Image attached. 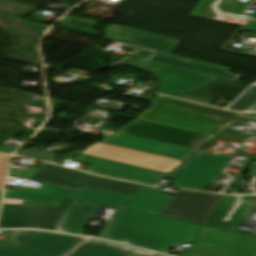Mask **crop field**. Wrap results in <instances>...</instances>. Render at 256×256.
Wrapping results in <instances>:
<instances>
[{
	"instance_id": "crop-field-1",
	"label": "crop field",
	"mask_w": 256,
	"mask_h": 256,
	"mask_svg": "<svg viewBox=\"0 0 256 256\" xmlns=\"http://www.w3.org/2000/svg\"><path fill=\"white\" fill-rule=\"evenodd\" d=\"M200 225L117 208L102 238L164 252L195 243Z\"/></svg>"
},
{
	"instance_id": "crop-field-21",
	"label": "crop field",
	"mask_w": 256,
	"mask_h": 256,
	"mask_svg": "<svg viewBox=\"0 0 256 256\" xmlns=\"http://www.w3.org/2000/svg\"><path fill=\"white\" fill-rule=\"evenodd\" d=\"M147 254L148 252L89 239L69 256H146Z\"/></svg>"
},
{
	"instance_id": "crop-field-22",
	"label": "crop field",
	"mask_w": 256,
	"mask_h": 256,
	"mask_svg": "<svg viewBox=\"0 0 256 256\" xmlns=\"http://www.w3.org/2000/svg\"><path fill=\"white\" fill-rule=\"evenodd\" d=\"M76 160L93 163L91 166L85 169V171H89L97 174H100L112 162L111 160L97 158V157L88 156L84 154H80L76 158Z\"/></svg>"
},
{
	"instance_id": "crop-field-31",
	"label": "crop field",
	"mask_w": 256,
	"mask_h": 256,
	"mask_svg": "<svg viewBox=\"0 0 256 256\" xmlns=\"http://www.w3.org/2000/svg\"><path fill=\"white\" fill-rule=\"evenodd\" d=\"M157 256H162V255H157Z\"/></svg>"
},
{
	"instance_id": "crop-field-15",
	"label": "crop field",
	"mask_w": 256,
	"mask_h": 256,
	"mask_svg": "<svg viewBox=\"0 0 256 256\" xmlns=\"http://www.w3.org/2000/svg\"><path fill=\"white\" fill-rule=\"evenodd\" d=\"M104 143L185 161L196 150L118 132Z\"/></svg>"
},
{
	"instance_id": "crop-field-27",
	"label": "crop field",
	"mask_w": 256,
	"mask_h": 256,
	"mask_svg": "<svg viewBox=\"0 0 256 256\" xmlns=\"http://www.w3.org/2000/svg\"><path fill=\"white\" fill-rule=\"evenodd\" d=\"M4 203L22 204V203H23V200L5 199Z\"/></svg>"
},
{
	"instance_id": "crop-field-6",
	"label": "crop field",
	"mask_w": 256,
	"mask_h": 256,
	"mask_svg": "<svg viewBox=\"0 0 256 256\" xmlns=\"http://www.w3.org/2000/svg\"><path fill=\"white\" fill-rule=\"evenodd\" d=\"M232 156L200 151L166 178L175 180V188L207 191Z\"/></svg>"
},
{
	"instance_id": "crop-field-16",
	"label": "crop field",
	"mask_w": 256,
	"mask_h": 256,
	"mask_svg": "<svg viewBox=\"0 0 256 256\" xmlns=\"http://www.w3.org/2000/svg\"><path fill=\"white\" fill-rule=\"evenodd\" d=\"M238 196H224L212 214L205 221V225L233 230L240 221L251 211L254 202L242 200L238 208L232 214L230 222H223L230 211L236 205Z\"/></svg>"
},
{
	"instance_id": "crop-field-11",
	"label": "crop field",
	"mask_w": 256,
	"mask_h": 256,
	"mask_svg": "<svg viewBox=\"0 0 256 256\" xmlns=\"http://www.w3.org/2000/svg\"><path fill=\"white\" fill-rule=\"evenodd\" d=\"M84 154L116 160L149 169L169 173L182 163V161L134 151L126 148L97 143L88 148Z\"/></svg>"
},
{
	"instance_id": "crop-field-19",
	"label": "crop field",
	"mask_w": 256,
	"mask_h": 256,
	"mask_svg": "<svg viewBox=\"0 0 256 256\" xmlns=\"http://www.w3.org/2000/svg\"><path fill=\"white\" fill-rule=\"evenodd\" d=\"M163 190L143 186L124 208L159 215L173 199V197L159 194Z\"/></svg>"
},
{
	"instance_id": "crop-field-32",
	"label": "crop field",
	"mask_w": 256,
	"mask_h": 256,
	"mask_svg": "<svg viewBox=\"0 0 256 256\" xmlns=\"http://www.w3.org/2000/svg\"><path fill=\"white\" fill-rule=\"evenodd\" d=\"M1 193H2V192H0V196H1Z\"/></svg>"
},
{
	"instance_id": "crop-field-5",
	"label": "crop field",
	"mask_w": 256,
	"mask_h": 256,
	"mask_svg": "<svg viewBox=\"0 0 256 256\" xmlns=\"http://www.w3.org/2000/svg\"><path fill=\"white\" fill-rule=\"evenodd\" d=\"M63 197L84 200L123 208L132 198L130 196L84 187L75 191L42 183L39 190H6L5 198L24 199V202L51 204L58 206Z\"/></svg>"
},
{
	"instance_id": "crop-field-7",
	"label": "crop field",
	"mask_w": 256,
	"mask_h": 256,
	"mask_svg": "<svg viewBox=\"0 0 256 256\" xmlns=\"http://www.w3.org/2000/svg\"><path fill=\"white\" fill-rule=\"evenodd\" d=\"M73 200L64 199L59 207L26 204L6 206L0 219V228H40L56 231Z\"/></svg>"
},
{
	"instance_id": "crop-field-8",
	"label": "crop field",
	"mask_w": 256,
	"mask_h": 256,
	"mask_svg": "<svg viewBox=\"0 0 256 256\" xmlns=\"http://www.w3.org/2000/svg\"><path fill=\"white\" fill-rule=\"evenodd\" d=\"M124 47L132 48L136 51H138L136 54L132 56L131 59H128L126 61H123L119 63V65L143 70V71H150L154 70L161 65L145 62L142 60H145L144 58L148 56L152 50L139 48L127 44H123ZM146 61L160 63L164 65L174 66L182 69H187L195 72H200L208 75H213L221 78H226L230 80L237 81L241 78L240 75L230 74L227 73L229 71V68L216 66L212 64L202 63L174 55L165 54L162 52L155 51Z\"/></svg>"
},
{
	"instance_id": "crop-field-26",
	"label": "crop field",
	"mask_w": 256,
	"mask_h": 256,
	"mask_svg": "<svg viewBox=\"0 0 256 256\" xmlns=\"http://www.w3.org/2000/svg\"><path fill=\"white\" fill-rule=\"evenodd\" d=\"M9 155L0 153V191L3 189Z\"/></svg>"
},
{
	"instance_id": "crop-field-25",
	"label": "crop field",
	"mask_w": 256,
	"mask_h": 256,
	"mask_svg": "<svg viewBox=\"0 0 256 256\" xmlns=\"http://www.w3.org/2000/svg\"><path fill=\"white\" fill-rule=\"evenodd\" d=\"M17 154L22 155V156L39 158V159H43V160H47V161H51V162H53V160L56 156L54 154L38 151V149L36 147L32 148L29 151H22V152H19Z\"/></svg>"
},
{
	"instance_id": "crop-field-14",
	"label": "crop field",
	"mask_w": 256,
	"mask_h": 256,
	"mask_svg": "<svg viewBox=\"0 0 256 256\" xmlns=\"http://www.w3.org/2000/svg\"><path fill=\"white\" fill-rule=\"evenodd\" d=\"M161 84L157 93L179 97L215 78L162 66L150 72Z\"/></svg>"
},
{
	"instance_id": "crop-field-18",
	"label": "crop field",
	"mask_w": 256,
	"mask_h": 256,
	"mask_svg": "<svg viewBox=\"0 0 256 256\" xmlns=\"http://www.w3.org/2000/svg\"><path fill=\"white\" fill-rule=\"evenodd\" d=\"M101 175L155 185L168 174L113 161Z\"/></svg>"
},
{
	"instance_id": "crop-field-20",
	"label": "crop field",
	"mask_w": 256,
	"mask_h": 256,
	"mask_svg": "<svg viewBox=\"0 0 256 256\" xmlns=\"http://www.w3.org/2000/svg\"><path fill=\"white\" fill-rule=\"evenodd\" d=\"M97 205L74 200L57 231L82 235Z\"/></svg>"
},
{
	"instance_id": "crop-field-28",
	"label": "crop field",
	"mask_w": 256,
	"mask_h": 256,
	"mask_svg": "<svg viewBox=\"0 0 256 256\" xmlns=\"http://www.w3.org/2000/svg\"><path fill=\"white\" fill-rule=\"evenodd\" d=\"M14 151H15V149L0 146V152H5V153L12 154Z\"/></svg>"
},
{
	"instance_id": "crop-field-13",
	"label": "crop field",
	"mask_w": 256,
	"mask_h": 256,
	"mask_svg": "<svg viewBox=\"0 0 256 256\" xmlns=\"http://www.w3.org/2000/svg\"><path fill=\"white\" fill-rule=\"evenodd\" d=\"M106 39L173 54L181 40L108 24Z\"/></svg>"
},
{
	"instance_id": "crop-field-4",
	"label": "crop field",
	"mask_w": 256,
	"mask_h": 256,
	"mask_svg": "<svg viewBox=\"0 0 256 256\" xmlns=\"http://www.w3.org/2000/svg\"><path fill=\"white\" fill-rule=\"evenodd\" d=\"M57 186L82 190L84 186L118 192L134 196L141 185L89 175L76 170L44 163L36 173L29 178Z\"/></svg>"
},
{
	"instance_id": "crop-field-29",
	"label": "crop field",
	"mask_w": 256,
	"mask_h": 256,
	"mask_svg": "<svg viewBox=\"0 0 256 256\" xmlns=\"http://www.w3.org/2000/svg\"><path fill=\"white\" fill-rule=\"evenodd\" d=\"M251 111H256V107L253 110H251Z\"/></svg>"
},
{
	"instance_id": "crop-field-10",
	"label": "crop field",
	"mask_w": 256,
	"mask_h": 256,
	"mask_svg": "<svg viewBox=\"0 0 256 256\" xmlns=\"http://www.w3.org/2000/svg\"><path fill=\"white\" fill-rule=\"evenodd\" d=\"M121 132L142 136L154 140H159L175 145H180L199 150L204 146L212 136L149 123L141 120H134Z\"/></svg>"
},
{
	"instance_id": "crop-field-30",
	"label": "crop field",
	"mask_w": 256,
	"mask_h": 256,
	"mask_svg": "<svg viewBox=\"0 0 256 256\" xmlns=\"http://www.w3.org/2000/svg\"><path fill=\"white\" fill-rule=\"evenodd\" d=\"M228 1H232V2H235V0H228Z\"/></svg>"
},
{
	"instance_id": "crop-field-3",
	"label": "crop field",
	"mask_w": 256,
	"mask_h": 256,
	"mask_svg": "<svg viewBox=\"0 0 256 256\" xmlns=\"http://www.w3.org/2000/svg\"><path fill=\"white\" fill-rule=\"evenodd\" d=\"M85 239L36 231H12L0 239V256H65Z\"/></svg>"
},
{
	"instance_id": "crop-field-2",
	"label": "crop field",
	"mask_w": 256,
	"mask_h": 256,
	"mask_svg": "<svg viewBox=\"0 0 256 256\" xmlns=\"http://www.w3.org/2000/svg\"><path fill=\"white\" fill-rule=\"evenodd\" d=\"M154 106L138 119L217 136L240 116L208 106L159 95Z\"/></svg>"
},
{
	"instance_id": "crop-field-17",
	"label": "crop field",
	"mask_w": 256,
	"mask_h": 256,
	"mask_svg": "<svg viewBox=\"0 0 256 256\" xmlns=\"http://www.w3.org/2000/svg\"><path fill=\"white\" fill-rule=\"evenodd\" d=\"M249 86L215 79L180 98L210 105L220 95L235 98Z\"/></svg>"
},
{
	"instance_id": "crop-field-9",
	"label": "crop field",
	"mask_w": 256,
	"mask_h": 256,
	"mask_svg": "<svg viewBox=\"0 0 256 256\" xmlns=\"http://www.w3.org/2000/svg\"><path fill=\"white\" fill-rule=\"evenodd\" d=\"M224 195L180 191L160 216L203 224Z\"/></svg>"
},
{
	"instance_id": "crop-field-12",
	"label": "crop field",
	"mask_w": 256,
	"mask_h": 256,
	"mask_svg": "<svg viewBox=\"0 0 256 256\" xmlns=\"http://www.w3.org/2000/svg\"><path fill=\"white\" fill-rule=\"evenodd\" d=\"M196 243L234 256H256V237L203 225Z\"/></svg>"
},
{
	"instance_id": "crop-field-24",
	"label": "crop field",
	"mask_w": 256,
	"mask_h": 256,
	"mask_svg": "<svg viewBox=\"0 0 256 256\" xmlns=\"http://www.w3.org/2000/svg\"><path fill=\"white\" fill-rule=\"evenodd\" d=\"M178 256H231L200 245H193Z\"/></svg>"
},
{
	"instance_id": "crop-field-23",
	"label": "crop field",
	"mask_w": 256,
	"mask_h": 256,
	"mask_svg": "<svg viewBox=\"0 0 256 256\" xmlns=\"http://www.w3.org/2000/svg\"><path fill=\"white\" fill-rule=\"evenodd\" d=\"M254 104H256V88L252 87L229 109L236 111H244L253 106Z\"/></svg>"
}]
</instances>
